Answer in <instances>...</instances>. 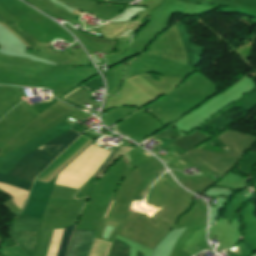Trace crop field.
Segmentation results:
<instances>
[{"mask_svg": "<svg viewBox=\"0 0 256 256\" xmlns=\"http://www.w3.org/2000/svg\"><path fill=\"white\" fill-rule=\"evenodd\" d=\"M80 134L69 130L55 137L41 148L27 154L12 169L9 175L32 182L60 152L69 146Z\"/></svg>", "mask_w": 256, "mask_h": 256, "instance_id": "1", "label": "crop field"}, {"mask_svg": "<svg viewBox=\"0 0 256 256\" xmlns=\"http://www.w3.org/2000/svg\"><path fill=\"white\" fill-rule=\"evenodd\" d=\"M82 233H83L82 230H74L67 256H77ZM93 236H94V231H84L78 256L88 255L91 245L93 243Z\"/></svg>", "mask_w": 256, "mask_h": 256, "instance_id": "2", "label": "crop field"}, {"mask_svg": "<svg viewBox=\"0 0 256 256\" xmlns=\"http://www.w3.org/2000/svg\"><path fill=\"white\" fill-rule=\"evenodd\" d=\"M110 243L95 239L89 256H107Z\"/></svg>", "mask_w": 256, "mask_h": 256, "instance_id": "3", "label": "crop field"}, {"mask_svg": "<svg viewBox=\"0 0 256 256\" xmlns=\"http://www.w3.org/2000/svg\"><path fill=\"white\" fill-rule=\"evenodd\" d=\"M0 183L10 185L13 187H17V188H21V189H27V190H30L31 185H32V184L22 181L20 179H16V178L4 176V175H0Z\"/></svg>", "mask_w": 256, "mask_h": 256, "instance_id": "4", "label": "crop field"}, {"mask_svg": "<svg viewBox=\"0 0 256 256\" xmlns=\"http://www.w3.org/2000/svg\"><path fill=\"white\" fill-rule=\"evenodd\" d=\"M73 227L65 228L57 256H65Z\"/></svg>", "mask_w": 256, "mask_h": 256, "instance_id": "5", "label": "crop field"}, {"mask_svg": "<svg viewBox=\"0 0 256 256\" xmlns=\"http://www.w3.org/2000/svg\"><path fill=\"white\" fill-rule=\"evenodd\" d=\"M165 168L164 169H160L156 175L151 179V181L147 184V186L143 189V191L138 195V197L135 199V200H143L144 197L146 196L147 194V191L149 189V187L151 186V184L157 179L159 178L164 172H165Z\"/></svg>", "mask_w": 256, "mask_h": 256, "instance_id": "6", "label": "crop field"}, {"mask_svg": "<svg viewBox=\"0 0 256 256\" xmlns=\"http://www.w3.org/2000/svg\"><path fill=\"white\" fill-rule=\"evenodd\" d=\"M0 253L4 256H25L19 246L11 249H1Z\"/></svg>", "mask_w": 256, "mask_h": 256, "instance_id": "7", "label": "crop field"}, {"mask_svg": "<svg viewBox=\"0 0 256 256\" xmlns=\"http://www.w3.org/2000/svg\"><path fill=\"white\" fill-rule=\"evenodd\" d=\"M111 2H115V3H125V2H128L130 0H109Z\"/></svg>", "mask_w": 256, "mask_h": 256, "instance_id": "8", "label": "crop field"}, {"mask_svg": "<svg viewBox=\"0 0 256 256\" xmlns=\"http://www.w3.org/2000/svg\"><path fill=\"white\" fill-rule=\"evenodd\" d=\"M165 174L169 177V179H170L172 182H174L175 184H177V183L174 181V179L169 175L168 172H166ZM165 174H164V175H165ZM164 175H163V176H164ZM163 176H162V177H163ZM162 177H161V178H162ZM161 178H160V179H161ZM160 179H159V180H160ZM177 185H178V184H177Z\"/></svg>", "mask_w": 256, "mask_h": 256, "instance_id": "9", "label": "crop field"}, {"mask_svg": "<svg viewBox=\"0 0 256 256\" xmlns=\"http://www.w3.org/2000/svg\"><path fill=\"white\" fill-rule=\"evenodd\" d=\"M143 155H145V156H147V157H148L150 154H148V153L146 152V153H144Z\"/></svg>", "mask_w": 256, "mask_h": 256, "instance_id": "10", "label": "crop field"}, {"mask_svg": "<svg viewBox=\"0 0 256 256\" xmlns=\"http://www.w3.org/2000/svg\"><path fill=\"white\" fill-rule=\"evenodd\" d=\"M78 89H80V88H78ZM78 89H77V90H78ZM75 91H76V90H75ZM73 92H74V91H73ZM73 92H72V93H73ZM70 94H71V93H70ZM70 94H69V95H70ZM67 96H68V95H67ZM67 96H66V97H67ZM66 97H65V98H66ZM65 98H64V99H65Z\"/></svg>", "mask_w": 256, "mask_h": 256, "instance_id": "11", "label": "crop field"}, {"mask_svg": "<svg viewBox=\"0 0 256 256\" xmlns=\"http://www.w3.org/2000/svg\"><path fill=\"white\" fill-rule=\"evenodd\" d=\"M105 151V150H104ZM106 152H108L109 153V151H106Z\"/></svg>", "mask_w": 256, "mask_h": 256, "instance_id": "12", "label": "crop field"}]
</instances>
